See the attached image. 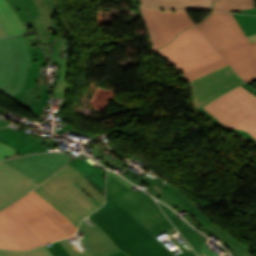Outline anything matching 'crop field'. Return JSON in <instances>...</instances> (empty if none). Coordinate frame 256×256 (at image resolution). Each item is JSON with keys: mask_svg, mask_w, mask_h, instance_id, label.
Returning <instances> with one entry per match:
<instances>
[{"mask_svg": "<svg viewBox=\"0 0 256 256\" xmlns=\"http://www.w3.org/2000/svg\"><path fill=\"white\" fill-rule=\"evenodd\" d=\"M76 227L34 190L0 211V248L28 250L74 234Z\"/></svg>", "mask_w": 256, "mask_h": 256, "instance_id": "crop-field-1", "label": "crop field"}, {"mask_svg": "<svg viewBox=\"0 0 256 256\" xmlns=\"http://www.w3.org/2000/svg\"><path fill=\"white\" fill-rule=\"evenodd\" d=\"M197 27L224 59L183 73L188 82L227 64L245 82L256 80V42L249 43L231 14L212 12Z\"/></svg>", "mask_w": 256, "mask_h": 256, "instance_id": "crop-field-2", "label": "crop field"}, {"mask_svg": "<svg viewBox=\"0 0 256 256\" xmlns=\"http://www.w3.org/2000/svg\"><path fill=\"white\" fill-rule=\"evenodd\" d=\"M130 256H174L152 237L106 190V203L89 215ZM123 251V252H124Z\"/></svg>", "mask_w": 256, "mask_h": 256, "instance_id": "crop-field-3", "label": "crop field"}, {"mask_svg": "<svg viewBox=\"0 0 256 256\" xmlns=\"http://www.w3.org/2000/svg\"><path fill=\"white\" fill-rule=\"evenodd\" d=\"M80 172L70 165L50 176L34 189L52 206L62 212L76 227L78 223L98 206L74 184L78 183L101 205L104 197L98 193Z\"/></svg>", "mask_w": 256, "mask_h": 256, "instance_id": "crop-field-4", "label": "crop field"}, {"mask_svg": "<svg viewBox=\"0 0 256 256\" xmlns=\"http://www.w3.org/2000/svg\"><path fill=\"white\" fill-rule=\"evenodd\" d=\"M220 128L242 134L256 148V89L243 84L198 110Z\"/></svg>", "mask_w": 256, "mask_h": 256, "instance_id": "crop-field-5", "label": "crop field"}, {"mask_svg": "<svg viewBox=\"0 0 256 256\" xmlns=\"http://www.w3.org/2000/svg\"><path fill=\"white\" fill-rule=\"evenodd\" d=\"M154 52L172 63L180 73L222 59L196 26L180 32L169 45Z\"/></svg>", "mask_w": 256, "mask_h": 256, "instance_id": "crop-field-6", "label": "crop field"}, {"mask_svg": "<svg viewBox=\"0 0 256 256\" xmlns=\"http://www.w3.org/2000/svg\"><path fill=\"white\" fill-rule=\"evenodd\" d=\"M106 189L152 236L173 228L153 199L143 192L134 193L110 175Z\"/></svg>", "mask_w": 256, "mask_h": 256, "instance_id": "crop-field-7", "label": "crop field"}, {"mask_svg": "<svg viewBox=\"0 0 256 256\" xmlns=\"http://www.w3.org/2000/svg\"><path fill=\"white\" fill-rule=\"evenodd\" d=\"M29 64L30 50L24 35L0 39V91L10 98L19 92Z\"/></svg>", "mask_w": 256, "mask_h": 256, "instance_id": "crop-field-8", "label": "crop field"}, {"mask_svg": "<svg viewBox=\"0 0 256 256\" xmlns=\"http://www.w3.org/2000/svg\"><path fill=\"white\" fill-rule=\"evenodd\" d=\"M140 10L153 42L152 50L169 43L179 31L195 25L186 11Z\"/></svg>", "mask_w": 256, "mask_h": 256, "instance_id": "crop-field-9", "label": "crop field"}, {"mask_svg": "<svg viewBox=\"0 0 256 256\" xmlns=\"http://www.w3.org/2000/svg\"><path fill=\"white\" fill-rule=\"evenodd\" d=\"M244 83L229 66L220 68L191 82L192 105L198 109L223 93Z\"/></svg>", "mask_w": 256, "mask_h": 256, "instance_id": "crop-field-10", "label": "crop field"}, {"mask_svg": "<svg viewBox=\"0 0 256 256\" xmlns=\"http://www.w3.org/2000/svg\"><path fill=\"white\" fill-rule=\"evenodd\" d=\"M72 158L65 153H49L29 155L4 162L40 184L50 174L63 167Z\"/></svg>", "mask_w": 256, "mask_h": 256, "instance_id": "crop-field-11", "label": "crop field"}, {"mask_svg": "<svg viewBox=\"0 0 256 256\" xmlns=\"http://www.w3.org/2000/svg\"><path fill=\"white\" fill-rule=\"evenodd\" d=\"M80 224L78 232L84 233L82 242L87 249L85 252L78 254L67 239L60 240L71 256H106L119 251L97 225L90 227L84 220Z\"/></svg>", "mask_w": 256, "mask_h": 256, "instance_id": "crop-field-12", "label": "crop field"}, {"mask_svg": "<svg viewBox=\"0 0 256 256\" xmlns=\"http://www.w3.org/2000/svg\"><path fill=\"white\" fill-rule=\"evenodd\" d=\"M37 185L39 184L32 179L0 161V209L22 197Z\"/></svg>", "mask_w": 256, "mask_h": 256, "instance_id": "crop-field-13", "label": "crop field"}, {"mask_svg": "<svg viewBox=\"0 0 256 256\" xmlns=\"http://www.w3.org/2000/svg\"><path fill=\"white\" fill-rule=\"evenodd\" d=\"M160 193L156 194L159 197H161L159 200L165 202L169 206H171L175 211L180 212L184 211L185 209L183 206H181L178 202L173 200L171 196L164 194L158 187L157 185L154 186ZM188 212V211H187ZM186 219L188 222H190L194 227L200 229L204 233H213L215 234L214 236L220 240L221 244L224 245L226 248L229 249L230 253L232 256H251L250 252L251 250L247 245L241 244L233 240L229 235H227L224 231L213 225L212 223L200 227L198 224L194 222L192 219L190 213L188 212Z\"/></svg>", "mask_w": 256, "mask_h": 256, "instance_id": "crop-field-14", "label": "crop field"}, {"mask_svg": "<svg viewBox=\"0 0 256 256\" xmlns=\"http://www.w3.org/2000/svg\"><path fill=\"white\" fill-rule=\"evenodd\" d=\"M0 142L17 150L22 155L34 152H47L46 148H56L57 146L47 140L43 142L9 127L0 129Z\"/></svg>", "mask_w": 256, "mask_h": 256, "instance_id": "crop-field-15", "label": "crop field"}, {"mask_svg": "<svg viewBox=\"0 0 256 256\" xmlns=\"http://www.w3.org/2000/svg\"><path fill=\"white\" fill-rule=\"evenodd\" d=\"M124 172L129 174L125 176V178H127L132 183L137 185L142 182L146 186L153 189L156 193H158V191L152 185L158 184V187L161 188L164 193L170 194L172 198L176 199L181 205L186 207L190 211L195 222L198 223L200 226H203L211 222V219L204 215L196 205H194L191 201L185 198L179 191L175 190L170 185H165L162 181H160L157 178L149 180L139 174L131 173L127 170Z\"/></svg>", "mask_w": 256, "mask_h": 256, "instance_id": "crop-field-16", "label": "crop field"}, {"mask_svg": "<svg viewBox=\"0 0 256 256\" xmlns=\"http://www.w3.org/2000/svg\"><path fill=\"white\" fill-rule=\"evenodd\" d=\"M31 65L28 66L25 83L21 91L12 99L16 102L25 94L28 88L33 89L35 84H47L46 76H40V65H47L46 58L41 47H30Z\"/></svg>", "mask_w": 256, "mask_h": 256, "instance_id": "crop-field-17", "label": "crop field"}, {"mask_svg": "<svg viewBox=\"0 0 256 256\" xmlns=\"http://www.w3.org/2000/svg\"><path fill=\"white\" fill-rule=\"evenodd\" d=\"M142 7L163 10H211V0H140Z\"/></svg>", "mask_w": 256, "mask_h": 256, "instance_id": "crop-field-18", "label": "crop field"}, {"mask_svg": "<svg viewBox=\"0 0 256 256\" xmlns=\"http://www.w3.org/2000/svg\"><path fill=\"white\" fill-rule=\"evenodd\" d=\"M159 206L162 208L165 215L171 220V222L176 226L181 235L186 239V241L191 245L193 249L198 253L205 237L189 226L185 220L173 212L169 207L161 204L157 201Z\"/></svg>", "mask_w": 256, "mask_h": 256, "instance_id": "crop-field-19", "label": "crop field"}, {"mask_svg": "<svg viewBox=\"0 0 256 256\" xmlns=\"http://www.w3.org/2000/svg\"><path fill=\"white\" fill-rule=\"evenodd\" d=\"M47 99H50L48 85H35L33 90L28 89L18 103L38 117L43 107L47 106Z\"/></svg>", "mask_w": 256, "mask_h": 256, "instance_id": "crop-field-20", "label": "crop field"}, {"mask_svg": "<svg viewBox=\"0 0 256 256\" xmlns=\"http://www.w3.org/2000/svg\"><path fill=\"white\" fill-rule=\"evenodd\" d=\"M86 159V158H85ZM84 158L80 160L78 157L73 159L70 164L77 170H79L81 173H83L86 177L91 179L95 184H97L101 189L105 186V178L102 176L105 175L102 173L98 168H96L94 165L87 162Z\"/></svg>", "mask_w": 256, "mask_h": 256, "instance_id": "crop-field-21", "label": "crop field"}, {"mask_svg": "<svg viewBox=\"0 0 256 256\" xmlns=\"http://www.w3.org/2000/svg\"><path fill=\"white\" fill-rule=\"evenodd\" d=\"M16 11L21 21L41 17L32 0H6Z\"/></svg>", "mask_w": 256, "mask_h": 256, "instance_id": "crop-field-22", "label": "crop field"}, {"mask_svg": "<svg viewBox=\"0 0 256 256\" xmlns=\"http://www.w3.org/2000/svg\"><path fill=\"white\" fill-rule=\"evenodd\" d=\"M256 7V0H217L213 10L232 12L246 8Z\"/></svg>", "mask_w": 256, "mask_h": 256, "instance_id": "crop-field-23", "label": "crop field"}, {"mask_svg": "<svg viewBox=\"0 0 256 256\" xmlns=\"http://www.w3.org/2000/svg\"><path fill=\"white\" fill-rule=\"evenodd\" d=\"M33 1L37 5L40 11V14L42 16L46 29L47 30L50 29L51 15L56 8V4L54 3L53 0H33Z\"/></svg>", "mask_w": 256, "mask_h": 256, "instance_id": "crop-field-24", "label": "crop field"}, {"mask_svg": "<svg viewBox=\"0 0 256 256\" xmlns=\"http://www.w3.org/2000/svg\"><path fill=\"white\" fill-rule=\"evenodd\" d=\"M239 22L246 36L256 34V16L232 14Z\"/></svg>", "mask_w": 256, "mask_h": 256, "instance_id": "crop-field-25", "label": "crop field"}, {"mask_svg": "<svg viewBox=\"0 0 256 256\" xmlns=\"http://www.w3.org/2000/svg\"><path fill=\"white\" fill-rule=\"evenodd\" d=\"M0 256H53L45 246L29 251H9L0 249Z\"/></svg>", "mask_w": 256, "mask_h": 256, "instance_id": "crop-field-26", "label": "crop field"}, {"mask_svg": "<svg viewBox=\"0 0 256 256\" xmlns=\"http://www.w3.org/2000/svg\"><path fill=\"white\" fill-rule=\"evenodd\" d=\"M4 18L6 19L10 29L13 32V35L20 34V33H27L22 22L19 20L18 16L16 15L15 11L7 14H3Z\"/></svg>", "mask_w": 256, "mask_h": 256, "instance_id": "crop-field-27", "label": "crop field"}, {"mask_svg": "<svg viewBox=\"0 0 256 256\" xmlns=\"http://www.w3.org/2000/svg\"><path fill=\"white\" fill-rule=\"evenodd\" d=\"M185 243L181 244L178 240H176L173 236L169 237L170 240L175 243L183 252L175 255V256H197L192 248L187 244V242L182 238L181 235L177 234ZM162 243V242H161ZM163 244V243H162ZM164 245V244H163ZM165 246V245H164ZM166 247V246H165ZM167 248V247H166ZM171 251L169 248H167ZM179 251L178 248L172 250V253Z\"/></svg>", "mask_w": 256, "mask_h": 256, "instance_id": "crop-field-28", "label": "crop field"}, {"mask_svg": "<svg viewBox=\"0 0 256 256\" xmlns=\"http://www.w3.org/2000/svg\"><path fill=\"white\" fill-rule=\"evenodd\" d=\"M92 145V150L93 153H95V157L96 156H100L102 155L105 159L100 160L99 162L102 163L103 165H105L107 168L111 167L113 164L118 166L113 160H111L108 155H106L101 148L105 147L104 144L101 143H97V144H90ZM119 168H121L122 170H124V168L118 166ZM117 167V168H118Z\"/></svg>", "mask_w": 256, "mask_h": 256, "instance_id": "crop-field-29", "label": "crop field"}, {"mask_svg": "<svg viewBox=\"0 0 256 256\" xmlns=\"http://www.w3.org/2000/svg\"><path fill=\"white\" fill-rule=\"evenodd\" d=\"M68 62H69V60H63V58H61V57H52L51 64L62 65V67L60 69L58 81L67 82V77H68V72H69Z\"/></svg>", "mask_w": 256, "mask_h": 256, "instance_id": "crop-field-30", "label": "crop field"}, {"mask_svg": "<svg viewBox=\"0 0 256 256\" xmlns=\"http://www.w3.org/2000/svg\"><path fill=\"white\" fill-rule=\"evenodd\" d=\"M52 28L56 36V41L53 47V53L52 54H61L63 48H64V41L63 36L61 35L55 21H52Z\"/></svg>", "mask_w": 256, "mask_h": 256, "instance_id": "crop-field-31", "label": "crop field"}, {"mask_svg": "<svg viewBox=\"0 0 256 256\" xmlns=\"http://www.w3.org/2000/svg\"><path fill=\"white\" fill-rule=\"evenodd\" d=\"M48 249L52 252L54 256H70L67 253V251L63 248V246L60 244L59 241L54 242L52 246L48 247ZM109 256H127V255L120 251L118 253H115Z\"/></svg>", "mask_w": 256, "mask_h": 256, "instance_id": "crop-field-32", "label": "crop field"}, {"mask_svg": "<svg viewBox=\"0 0 256 256\" xmlns=\"http://www.w3.org/2000/svg\"><path fill=\"white\" fill-rule=\"evenodd\" d=\"M11 11H13V9L10 7V5L5 0H0V22H1L7 35H12V33H11L9 27L7 26L1 13H7V12H11Z\"/></svg>", "mask_w": 256, "mask_h": 256, "instance_id": "crop-field-33", "label": "crop field"}, {"mask_svg": "<svg viewBox=\"0 0 256 256\" xmlns=\"http://www.w3.org/2000/svg\"><path fill=\"white\" fill-rule=\"evenodd\" d=\"M69 88L68 83L58 82L56 88L52 90L51 95L52 97H66Z\"/></svg>", "mask_w": 256, "mask_h": 256, "instance_id": "crop-field-34", "label": "crop field"}, {"mask_svg": "<svg viewBox=\"0 0 256 256\" xmlns=\"http://www.w3.org/2000/svg\"><path fill=\"white\" fill-rule=\"evenodd\" d=\"M40 44L52 43L53 42V32L52 30L39 32L34 35Z\"/></svg>", "mask_w": 256, "mask_h": 256, "instance_id": "crop-field-35", "label": "crop field"}, {"mask_svg": "<svg viewBox=\"0 0 256 256\" xmlns=\"http://www.w3.org/2000/svg\"><path fill=\"white\" fill-rule=\"evenodd\" d=\"M26 23H28L29 27H32L34 32L46 30L41 18L23 22V24H26Z\"/></svg>", "mask_w": 256, "mask_h": 256, "instance_id": "crop-field-36", "label": "crop field"}, {"mask_svg": "<svg viewBox=\"0 0 256 256\" xmlns=\"http://www.w3.org/2000/svg\"><path fill=\"white\" fill-rule=\"evenodd\" d=\"M8 146V145H7ZM6 145L0 143V160H3L5 158H7L8 156H10L11 154L17 152L9 147H7Z\"/></svg>", "mask_w": 256, "mask_h": 256, "instance_id": "crop-field-37", "label": "crop field"}, {"mask_svg": "<svg viewBox=\"0 0 256 256\" xmlns=\"http://www.w3.org/2000/svg\"><path fill=\"white\" fill-rule=\"evenodd\" d=\"M199 256H219L218 254H216L214 251H212L208 245L206 244V239L204 241V244L198 254Z\"/></svg>", "mask_w": 256, "mask_h": 256, "instance_id": "crop-field-38", "label": "crop field"}, {"mask_svg": "<svg viewBox=\"0 0 256 256\" xmlns=\"http://www.w3.org/2000/svg\"><path fill=\"white\" fill-rule=\"evenodd\" d=\"M108 174H110L111 176H113L114 178L118 179L119 181H121L123 184H125L127 187H129L130 189L135 187L132 184H130L129 182H127L126 180H124L123 178H121L120 176H118L117 174L108 171Z\"/></svg>", "mask_w": 256, "mask_h": 256, "instance_id": "crop-field-39", "label": "crop field"}, {"mask_svg": "<svg viewBox=\"0 0 256 256\" xmlns=\"http://www.w3.org/2000/svg\"><path fill=\"white\" fill-rule=\"evenodd\" d=\"M71 128H72V125L66 124V126H63V127L61 128V130H56V128H55V132H56V133H59V134H62L63 132H65V131H67V130H69V129H71Z\"/></svg>", "mask_w": 256, "mask_h": 256, "instance_id": "crop-field-40", "label": "crop field"}, {"mask_svg": "<svg viewBox=\"0 0 256 256\" xmlns=\"http://www.w3.org/2000/svg\"><path fill=\"white\" fill-rule=\"evenodd\" d=\"M240 12H241V13L256 14V8L246 9V10H242V11H240Z\"/></svg>", "mask_w": 256, "mask_h": 256, "instance_id": "crop-field-41", "label": "crop field"}, {"mask_svg": "<svg viewBox=\"0 0 256 256\" xmlns=\"http://www.w3.org/2000/svg\"><path fill=\"white\" fill-rule=\"evenodd\" d=\"M42 48L44 49L45 52H50V49L52 47V44H47V45H41Z\"/></svg>", "mask_w": 256, "mask_h": 256, "instance_id": "crop-field-42", "label": "crop field"}, {"mask_svg": "<svg viewBox=\"0 0 256 256\" xmlns=\"http://www.w3.org/2000/svg\"><path fill=\"white\" fill-rule=\"evenodd\" d=\"M248 39H249L250 43L255 42L256 41V35L249 36Z\"/></svg>", "mask_w": 256, "mask_h": 256, "instance_id": "crop-field-43", "label": "crop field"}, {"mask_svg": "<svg viewBox=\"0 0 256 256\" xmlns=\"http://www.w3.org/2000/svg\"><path fill=\"white\" fill-rule=\"evenodd\" d=\"M0 37H6V34L3 30V28L1 27V25H0Z\"/></svg>", "mask_w": 256, "mask_h": 256, "instance_id": "crop-field-44", "label": "crop field"}, {"mask_svg": "<svg viewBox=\"0 0 256 256\" xmlns=\"http://www.w3.org/2000/svg\"><path fill=\"white\" fill-rule=\"evenodd\" d=\"M10 123L6 122V121H0V127H5L7 125H9Z\"/></svg>", "mask_w": 256, "mask_h": 256, "instance_id": "crop-field-45", "label": "crop field"}, {"mask_svg": "<svg viewBox=\"0 0 256 256\" xmlns=\"http://www.w3.org/2000/svg\"><path fill=\"white\" fill-rule=\"evenodd\" d=\"M119 165H121V166H123V167H125V166H130V165H128L126 162H121Z\"/></svg>", "mask_w": 256, "mask_h": 256, "instance_id": "crop-field-46", "label": "crop field"}, {"mask_svg": "<svg viewBox=\"0 0 256 256\" xmlns=\"http://www.w3.org/2000/svg\"><path fill=\"white\" fill-rule=\"evenodd\" d=\"M0 111H2V112H4V113H7V111H5V110H3V109H1V108H0Z\"/></svg>", "mask_w": 256, "mask_h": 256, "instance_id": "crop-field-47", "label": "crop field"}, {"mask_svg": "<svg viewBox=\"0 0 256 256\" xmlns=\"http://www.w3.org/2000/svg\"><path fill=\"white\" fill-rule=\"evenodd\" d=\"M225 256H230V255L228 254V255H225Z\"/></svg>", "mask_w": 256, "mask_h": 256, "instance_id": "crop-field-48", "label": "crop field"}, {"mask_svg": "<svg viewBox=\"0 0 256 256\" xmlns=\"http://www.w3.org/2000/svg\"><path fill=\"white\" fill-rule=\"evenodd\" d=\"M213 1H215V0H213Z\"/></svg>", "mask_w": 256, "mask_h": 256, "instance_id": "crop-field-49", "label": "crop field"}]
</instances>
